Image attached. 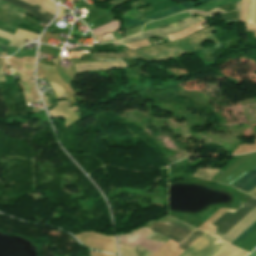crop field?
<instances>
[{"instance_id":"03da06ac","label":"crop field","mask_w":256,"mask_h":256,"mask_svg":"<svg viewBox=\"0 0 256 256\" xmlns=\"http://www.w3.org/2000/svg\"><path fill=\"white\" fill-rule=\"evenodd\" d=\"M255 23H256V21H255Z\"/></svg>"},{"instance_id":"730fd06b","label":"crop field","mask_w":256,"mask_h":256,"mask_svg":"<svg viewBox=\"0 0 256 256\" xmlns=\"http://www.w3.org/2000/svg\"><path fill=\"white\" fill-rule=\"evenodd\" d=\"M120 246L121 256H136L135 250L132 247Z\"/></svg>"},{"instance_id":"ae1a2a85","label":"crop field","mask_w":256,"mask_h":256,"mask_svg":"<svg viewBox=\"0 0 256 256\" xmlns=\"http://www.w3.org/2000/svg\"><path fill=\"white\" fill-rule=\"evenodd\" d=\"M34 53L35 51L20 49L19 52L15 54L13 57L21 58L23 56H34Z\"/></svg>"},{"instance_id":"34b2d1b8","label":"crop field","mask_w":256,"mask_h":256,"mask_svg":"<svg viewBox=\"0 0 256 256\" xmlns=\"http://www.w3.org/2000/svg\"><path fill=\"white\" fill-rule=\"evenodd\" d=\"M169 220H171V221H173V222H175V223H177V224H179V225H181V226H183V227H185V228H187V229H189L191 231L194 230V228H192V227H190L188 225H185V224H183V223H181L179 221H176V220H174V219H172V218H170L168 216L165 217V218L156 220V221H158V222L163 224V223H165V222H167ZM156 221H153V222L145 225V227L150 225V224H152V223H154V222H156ZM171 221H169V222H167V223H165L163 225L157 222V223H155V224H153V225H151V226H149L147 228H149V229H151V230H153V231H155V232H157V233H159L161 235H164V236H166V237H168V238H170V239L180 243L185 237H187L191 233V231H189V230H187V229H185V228H183V227H181V226H179V225H177V224H175V223H173Z\"/></svg>"},{"instance_id":"c035e120","label":"crop field","mask_w":256,"mask_h":256,"mask_svg":"<svg viewBox=\"0 0 256 256\" xmlns=\"http://www.w3.org/2000/svg\"><path fill=\"white\" fill-rule=\"evenodd\" d=\"M31 83H32V81H31ZM32 85H33V84H32ZM33 87H34V86H33ZM34 89H35V88H34ZM35 91H36V90H35ZM36 95H38L37 92H36Z\"/></svg>"},{"instance_id":"3316defc","label":"crop field","mask_w":256,"mask_h":256,"mask_svg":"<svg viewBox=\"0 0 256 256\" xmlns=\"http://www.w3.org/2000/svg\"><path fill=\"white\" fill-rule=\"evenodd\" d=\"M206 1H209V0H199V1L195 2V3L187 1L185 3H182V4H179V5L167 8L165 10H162L160 12L144 16V17H142V19H152V20H155V19L167 17V16L175 14V13L181 11V10H184L186 8L195 6V5L199 4V3L206 2Z\"/></svg>"},{"instance_id":"5142ce71","label":"crop field","mask_w":256,"mask_h":256,"mask_svg":"<svg viewBox=\"0 0 256 256\" xmlns=\"http://www.w3.org/2000/svg\"><path fill=\"white\" fill-rule=\"evenodd\" d=\"M121 22H122L121 19H117V20H114V21H112V22H110L106 25H103L99 28L93 29L92 30L93 35L96 36V35H101V34L113 32V31H116V30H120L121 29Z\"/></svg>"},{"instance_id":"120bbe31","label":"crop field","mask_w":256,"mask_h":256,"mask_svg":"<svg viewBox=\"0 0 256 256\" xmlns=\"http://www.w3.org/2000/svg\"><path fill=\"white\" fill-rule=\"evenodd\" d=\"M0 82H5V74L1 67V61H0Z\"/></svg>"},{"instance_id":"214f88e0","label":"crop field","mask_w":256,"mask_h":256,"mask_svg":"<svg viewBox=\"0 0 256 256\" xmlns=\"http://www.w3.org/2000/svg\"><path fill=\"white\" fill-rule=\"evenodd\" d=\"M203 234V232L199 230H195L189 237H187L178 247L182 249H186L188 246H190L198 237H200ZM199 239V238H198ZM197 239V240H198Z\"/></svg>"},{"instance_id":"4177f3b9","label":"crop field","mask_w":256,"mask_h":256,"mask_svg":"<svg viewBox=\"0 0 256 256\" xmlns=\"http://www.w3.org/2000/svg\"><path fill=\"white\" fill-rule=\"evenodd\" d=\"M146 22H148V21L147 20H140V19L127 21L125 23L123 22L124 23V29L134 27V26H138V25H142V24H145Z\"/></svg>"},{"instance_id":"d32e631a","label":"crop field","mask_w":256,"mask_h":256,"mask_svg":"<svg viewBox=\"0 0 256 256\" xmlns=\"http://www.w3.org/2000/svg\"><path fill=\"white\" fill-rule=\"evenodd\" d=\"M18 49H16V48H10V47H8V49H7V55H11V54H13L15 51H17Z\"/></svg>"},{"instance_id":"a9b5d70f","label":"crop field","mask_w":256,"mask_h":256,"mask_svg":"<svg viewBox=\"0 0 256 256\" xmlns=\"http://www.w3.org/2000/svg\"><path fill=\"white\" fill-rule=\"evenodd\" d=\"M50 85L54 89L57 99L66 97L65 91L63 90V88L60 85L55 84V83H50Z\"/></svg>"},{"instance_id":"e52e79f7","label":"crop field","mask_w":256,"mask_h":256,"mask_svg":"<svg viewBox=\"0 0 256 256\" xmlns=\"http://www.w3.org/2000/svg\"><path fill=\"white\" fill-rule=\"evenodd\" d=\"M147 238H151V239L161 241V242H164V243L169 241V239H167V238H165V237H163V236H161V235H159L155 232H153ZM147 238L145 240H143L139 245L147 248L148 250H150L152 252H156L161 246L164 245V243H160V242L150 240V239H147ZM139 245L135 247L137 256H151L153 254L152 252L146 250L145 248H143Z\"/></svg>"},{"instance_id":"cbeb9de0","label":"crop field","mask_w":256,"mask_h":256,"mask_svg":"<svg viewBox=\"0 0 256 256\" xmlns=\"http://www.w3.org/2000/svg\"><path fill=\"white\" fill-rule=\"evenodd\" d=\"M187 17H190V15H188L187 13H180L178 15L172 16V17L167 18V19L151 22V23H148V24L145 25L143 31L158 28V27H162V26L174 23L176 21H180V20H182L184 18H187Z\"/></svg>"},{"instance_id":"eef30255","label":"crop field","mask_w":256,"mask_h":256,"mask_svg":"<svg viewBox=\"0 0 256 256\" xmlns=\"http://www.w3.org/2000/svg\"><path fill=\"white\" fill-rule=\"evenodd\" d=\"M237 10H239V13H240V1L237 2ZM231 11H235V10H231ZM231 11H227V12H231ZM207 13L211 14L212 17H214V15H217L219 13H225V11H223V10H221L219 8H216V9L207 11ZM238 18H239V16H238Z\"/></svg>"},{"instance_id":"d3111659","label":"crop field","mask_w":256,"mask_h":256,"mask_svg":"<svg viewBox=\"0 0 256 256\" xmlns=\"http://www.w3.org/2000/svg\"><path fill=\"white\" fill-rule=\"evenodd\" d=\"M96 1L101 3V2L106 1V0H96ZM127 1H129V0H113V1H111L109 3L114 4L113 6H111V9H113V8L119 6V5H121V4H123V3L127 2Z\"/></svg>"},{"instance_id":"0bd39190","label":"crop field","mask_w":256,"mask_h":256,"mask_svg":"<svg viewBox=\"0 0 256 256\" xmlns=\"http://www.w3.org/2000/svg\"><path fill=\"white\" fill-rule=\"evenodd\" d=\"M6 49H7V47H5V46H0V51L6 52Z\"/></svg>"},{"instance_id":"8a807250","label":"crop field","mask_w":256,"mask_h":256,"mask_svg":"<svg viewBox=\"0 0 256 256\" xmlns=\"http://www.w3.org/2000/svg\"><path fill=\"white\" fill-rule=\"evenodd\" d=\"M214 30L216 29L210 26L186 38L138 50L156 61L180 57L192 51L203 49L201 45L206 41L211 40L214 44L219 43L212 33Z\"/></svg>"},{"instance_id":"733c2abd","label":"crop field","mask_w":256,"mask_h":256,"mask_svg":"<svg viewBox=\"0 0 256 256\" xmlns=\"http://www.w3.org/2000/svg\"><path fill=\"white\" fill-rule=\"evenodd\" d=\"M19 29L17 30L15 35L0 31V37L10 39V40L12 39L13 36L21 37V38L29 39V40H32L33 38H38L39 37V34L27 32V31H23V30H19Z\"/></svg>"},{"instance_id":"028f5c9d","label":"crop field","mask_w":256,"mask_h":256,"mask_svg":"<svg viewBox=\"0 0 256 256\" xmlns=\"http://www.w3.org/2000/svg\"><path fill=\"white\" fill-rule=\"evenodd\" d=\"M22 83H23V85H24V87H25V89H26V92H27L28 98H29V100H30V96H31V94H30V96H29L30 91H29V93H28V89H27V87H26V85H27V84H26V82H25V84H26V85L24 84V82H22ZM31 100H32V99H31ZM31 100H30V101H31Z\"/></svg>"},{"instance_id":"b80d0937","label":"crop field","mask_w":256,"mask_h":256,"mask_svg":"<svg viewBox=\"0 0 256 256\" xmlns=\"http://www.w3.org/2000/svg\"><path fill=\"white\" fill-rule=\"evenodd\" d=\"M249 256H256V250L253 251Z\"/></svg>"},{"instance_id":"5a996713","label":"crop field","mask_w":256,"mask_h":256,"mask_svg":"<svg viewBox=\"0 0 256 256\" xmlns=\"http://www.w3.org/2000/svg\"><path fill=\"white\" fill-rule=\"evenodd\" d=\"M151 232L152 231L142 227L133 230L132 233L118 235L119 244L135 247Z\"/></svg>"},{"instance_id":"1d83c4d3","label":"crop field","mask_w":256,"mask_h":256,"mask_svg":"<svg viewBox=\"0 0 256 256\" xmlns=\"http://www.w3.org/2000/svg\"><path fill=\"white\" fill-rule=\"evenodd\" d=\"M246 31H253L256 36V25H251L246 23Z\"/></svg>"},{"instance_id":"dd49c442","label":"crop field","mask_w":256,"mask_h":256,"mask_svg":"<svg viewBox=\"0 0 256 256\" xmlns=\"http://www.w3.org/2000/svg\"><path fill=\"white\" fill-rule=\"evenodd\" d=\"M27 11L0 0V21L18 27Z\"/></svg>"},{"instance_id":"bc2a9ffb","label":"crop field","mask_w":256,"mask_h":256,"mask_svg":"<svg viewBox=\"0 0 256 256\" xmlns=\"http://www.w3.org/2000/svg\"><path fill=\"white\" fill-rule=\"evenodd\" d=\"M23 1L30 3L32 5L38 4L44 9L51 12L52 14H55V6L51 0H23Z\"/></svg>"},{"instance_id":"4a817a6b","label":"crop field","mask_w":256,"mask_h":256,"mask_svg":"<svg viewBox=\"0 0 256 256\" xmlns=\"http://www.w3.org/2000/svg\"><path fill=\"white\" fill-rule=\"evenodd\" d=\"M234 1H238V0H212V1H209L205 4H203V5L195 6V7H192V8L207 11V10L212 9L214 7H217L219 5L227 4V3H230V2H234Z\"/></svg>"},{"instance_id":"dafd665d","label":"crop field","mask_w":256,"mask_h":256,"mask_svg":"<svg viewBox=\"0 0 256 256\" xmlns=\"http://www.w3.org/2000/svg\"><path fill=\"white\" fill-rule=\"evenodd\" d=\"M219 170V169H218ZM218 170H206V169H199L196 172V176L202 177V178H206L211 180L212 177L217 173Z\"/></svg>"},{"instance_id":"d8731c3e","label":"crop field","mask_w":256,"mask_h":256,"mask_svg":"<svg viewBox=\"0 0 256 256\" xmlns=\"http://www.w3.org/2000/svg\"><path fill=\"white\" fill-rule=\"evenodd\" d=\"M5 1L29 11L28 14L32 15L33 17L37 18L38 20H40V21H42L46 24H48L49 21L54 16V15H52L51 13L44 10L43 8H41L38 5L36 7H34L30 4H26V3L22 2L20 0H5Z\"/></svg>"},{"instance_id":"ac0d7876","label":"crop field","mask_w":256,"mask_h":256,"mask_svg":"<svg viewBox=\"0 0 256 256\" xmlns=\"http://www.w3.org/2000/svg\"><path fill=\"white\" fill-rule=\"evenodd\" d=\"M255 207H256V199L251 197L237 211L228 210L223 216H221L213 224V226H216L218 228H216L211 233V235L220 238ZM255 220H256V208L253 211H251L246 217H244L238 224H236L231 230H229L224 236H222L221 239L231 243L245 229H247Z\"/></svg>"},{"instance_id":"c21b1889","label":"crop field","mask_w":256,"mask_h":256,"mask_svg":"<svg viewBox=\"0 0 256 256\" xmlns=\"http://www.w3.org/2000/svg\"><path fill=\"white\" fill-rule=\"evenodd\" d=\"M56 2H58L59 0H55Z\"/></svg>"},{"instance_id":"412701ff","label":"crop field","mask_w":256,"mask_h":256,"mask_svg":"<svg viewBox=\"0 0 256 256\" xmlns=\"http://www.w3.org/2000/svg\"><path fill=\"white\" fill-rule=\"evenodd\" d=\"M201 20H204V19H202L200 17H197V18L191 17V18L180 21L176 24H173V25L165 27V28H158V29L142 32V33L127 37V38L121 40L120 42L127 44V43H131V42L144 40L151 36H162V35L174 33L179 30H182L190 25H193Z\"/></svg>"},{"instance_id":"d9b57169","label":"crop field","mask_w":256,"mask_h":256,"mask_svg":"<svg viewBox=\"0 0 256 256\" xmlns=\"http://www.w3.org/2000/svg\"><path fill=\"white\" fill-rule=\"evenodd\" d=\"M247 254L248 253L227 243L214 256H246Z\"/></svg>"},{"instance_id":"750c4746","label":"crop field","mask_w":256,"mask_h":256,"mask_svg":"<svg viewBox=\"0 0 256 256\" xmlns=\"http://www.w3.org/2000/svg\"><path fill=\"white\" fill-rule=\"evenodd\" d=\"M0 30L15 34L16 29L0 22Z\"/></svg>"},{"instance_id":"5866460e","label":"crop field","mask_w":256,"mask_h":256,"mask_svg":"<svg viewBox=\"0 0 256 256\" xmlns=\"http://www.w3.org/2000/svg\"><path fill=\"white\" fill-rule=\"evenodd\" d=\"M0 43L8 46V44L10 43V40H6V39H3V38H0Z\"/></svg>"},{"instance_id":"92a150f3","label":"crop field","mask_w":256,"mask_h":256,"mask_svg":"<svg viewBox=\"0 0 256 256\" xmlns=\"http://www.w3.org/2000/svg\"><path fill=\"white\" fill-rule=\"evenodd\" d=\"M256 229V221L247 229L245 230L237 239H235L232 244L238 245L241 241H243L251 232ZM252 234V233H251ZM242 243V242H241ZM240 243V244H241Z\"/></svg>"},{"instance_id":"bd1437ed","label":"crop field","mask_w":256,"mask_h":256,"mask_svg":"<svg viewBox=\"0 0 256 256\" xmlns=\"http://www.w3.org/2000/svg\"><path fill=\"white\" fill-rule=\"evenodd\" d=\"M22 40L23 39H19V38H13V40H12V42H11V44H10V46H20V45H22V44H24L23 42H22Z\"/></svg>"},{"instance_id":"f4fd0767","label":"crop field","mask_w":256,"mask_h":256,"mask_svg":"<svg viewBox=\"0 0 256 256\" xmlns=\"http://www.w3.org/2000/svg\"><path fill=\"white\" fill-rule=\"evenodd\" d=\"M215 238L203 234L189 248H187L180 256H212L222 245L214 242ZM215 241L225 244V242L216 239Z\"/></svg>"},{"instance_id":"00972430","label":"crop field","mask_w":256,"mask_h":256,"mask_svg":"<svg viewBox=\"0 0 256 256\" xmlns=\"http://www.w3.org/2000/svg\"><path fill=\"white\" fill-rule=\"evenodd\" d=\"M248 3L249 0H242V6H241V13L239 20L245 21L247 19V13H248Z\"/></svg>"},{"instance_id":"22f410ed","label":"crop field","mask_w":256,"mask_h":256,"mask_svg":"<svg viewBox=\"0 0 256 256\" xmlns=\"http://www.w3.org/2000/svg\"><path fill=\"white\" fill-rule=\"evenodd\" d=\"M78 71L83 70H95V69H108V68H120L126 67V64L123 60L111 61V62H100V63H84L76 64Z\"/></svg>"},{"instance_id":"e1f06a70","label":"crop field","mask_w":256,"mask_h":256,"mask_svg":"<svg viewBox=\"0 0 256 256\" xmlns=\"http://www.w3.org/2000/svg\"><path fill=\"white\" fill-rule=\"evenodd\" d=\"M249 194H251V195H253V196H255V197H256V188H255V189H253L251 192H249Z\"/></svg>"},{"instance_id":"28ad6ade","label":"crop field","mask_w":256,"mask_h":256,"mask_svg":"<svg viewBox=\"0 0 256 256\" xmlns=\"http://www.w3.org/2000/svg\"><path fill=\"white\" fill-rule=\"evenodd\" d=\"M142 57L150 62H153L152 60L146 58L144 55L139 54L137 51H127V52H121V53H93L91 59H100V60H118V59H124V58H134V57Z\"/></svg>"},{"instance_id":"d1516ede","label":"crop field","mask_w":256,"mask_h":256,"mask_svg":"<svg viewBox=\"0 0 256 256\" xmlns=\"http://www.w3.org/2000/svg\"><path fill=\"white\" fill-rule=\"evenodd\" d=\"M231 186L240 189L246 193L256 187V167L245 174L242 178L236 181Z\"/></svg>"}]
</instances>
